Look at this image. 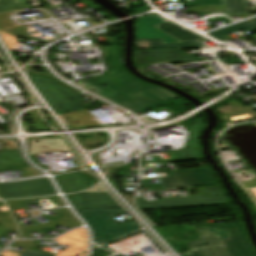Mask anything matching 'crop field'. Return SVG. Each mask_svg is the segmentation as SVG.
Here are the masks:
<instances>
[{
    "label": "crop field",
    "mask_w": 256,
    "mask_h": 256,
    "mask_svg": "<svg viewBox=\"0 0 256 256\" xmlns=\"http://www.w3.org/2000/svg\"><path fill=\"white\" fill-rule=\"evenodd\" d=\"M193 226L202 240L187 243L192 252L183 256H256L243 223Z\"/></svg>",
    "instance_id": "1"
},
{
    "label": "crop field",
    "mask_w": 256,
    "mask_h": 256,
    "mask_svg": "<svg viewBox=\"0 0 256 256\" xmlns=\"http://www.w3.org/2000/svg\"><path fill=\"white\" fill-rule=\"evenodd\" d=\"M77 212L85 219L94 234V242L99 245L125 236L139 228L136 222L122 223L119 226L112 225L111 218L113 215L127 213L122 208L81 210Z\"/></svg>",
    "instance_id": "2"
},
{
    "label": "crop field",
    "mask_w": 256,
    "mask_h": 256,
    "mask_svg": "<svg viewBox=\"0 0 256 256\" xmlns=\"http://www.w3.org/2000/svg\"><path fill=\"white\" fill-rule=\"evenodd\" d=\"M29 76L55 111L66 113L86 109L79 103L82 100L79 91L59 84L58 81L36 76L31 72Z\"/></svg>",
    "instance_id": "3"
},
{
    "label": "crop field",
    "mask_w": 256,
    "mask_h": 256,
    "mask_svg": "<svg viewBox=\"0 0 256 256\" xmlns=\"http://www.w3.org/2000/svg\"><path fill=\"white\" fill-rule=\"evenodd\" d=\"M77 83L107 99L149 85L125 70L104 74Z\"/></svg>",
    "instance_id": "4"
},
{
    "label": "crop field",
    "mask_w": 256,
    "mask_h": 256,
    "mask_svg": "<svg viewBox=\"0 0 256 256\" xmlns=\"http://www.w3.org/2000/svg\"><path fill=\"white\" fill-rule=\"evenodd\" d=\"M177 98H179L177 95L166 89L152 85L145 89L130 92L111 100L139 114L147 109H153L165 102Z\"/></svg>",
    "instance_id": "5"
},
{
    "label": "crop field",
    "mask_w": 256,
    "mask_h": 256,
    "mask_svg": "<svg viewBox=\"0 0 256 256\" xmlns=\"http://www.w3.org/2000/svg\"><path fill=\"white\" fill-rule=\"evenodd\" d=\"M203 189L205 196L163 199L152 202H146L143 197H140L136 199V202L139 209L171 208L228 203L224 193L219 186L205 187Z\"/></svg>",
    "instance_id": "6"
},
{
    "label": "crop field",
    "mask_w": 256,
    "mask_h": 256,
    "mask_svg": "<svg viewBox=\"0 0 256 256\" xmlns=\"http://www.w3.org/2000/svg\"><path fill=\"white\" fill-rule=\"evenodd\" d=\"M0 193L4 199L56 194L47 179L0 184Z\"/></svg>",
    "instance_id": "7"
},
{
    "label": "crop field",
    "mask_w": 256,
    "mask_h": 256,
    "mask_svg": "<svg viewBox=\"0 0 256 256\" xmlns=\"http://www.w3.org/2000/svg\"><path fill=\"white\" fill-rule=\"evenodd\" d=\"M171 175L172 177L160 178L165 189L217 184L214 175L209 168L173 172Z\"/></svg>",
    "instance_id": "8"
},
{
    "label": "crop field",
    "mask_w": 256,
    "mask_h": 256,
    "mask_svg": "<svg viewBox=\"0 0 256 256\" xmlns=\"http://www.w3.org/2000/svg\"><path fill=\"white\" fill-rule=\"evenodd\" d=\"M76 210L120 207L108 192L68 195Z\"/></svg>",
    "instance_id": "9"
},
{
    "label": "crop field",
    "mask_w": 256,
    "mask_h": 256,
    "mask_svg": "<svg viewBox=\"0 0 256 256\" xmlns=\"http://www.w3.org/2000/svg\"><path fill=\"white\" fill-rule=\"evenodd\" d=\"M162 60H168L170 62L199 61L192 55L182 56L179 50H135L134 53L136 65Z\"/></svg>",
    "instance_id": "10"
},
{
    "label": "crop field",
    "mask_w": 256,
    "mask_h": 256,
    "mask_svg": "<svg viewBox=\"0 0 256 256\" xmlns=\"http://www.w3.org/2000/svg\"><path fill=\"white\" fill-rule=\"evenodd\" d=\"M157 15L152 14L136 19L137 38H163L164 44L180 42L153 28L165 22V19Z\"/></svg>",
    "instance_id": "11"
},
{
    "label": "crop field",
    "mask_w": 256,
    "mask_h": 256,
    "mask_svg": "<svg viewBox=\"0 0 256 256\" xmlns=\"http://www.w3.org/2000/svg\"><path fill=\"white\" fill-rule=\"evenodd\" d=\"M191 132V137L188 139L187 145L175 151L180 161L203 159L198 146V133L202 128V120L197 119L193 122L184 124Z\"/></svg>",
    "instance_id": "12"
},
{
    "label": "crop field",
    "mask_w": 256,
    "mask_h": 256,
    "mask_svg": "<svg viewBox=\"0 0 256 256\" xmlns=\"http://www.w3.org/2000/svg\"><path fill=\"white\" fill-rule=\"evenodd\" d=\"M60 244H67L70 248L62 251L55 256H73L86 251L87 248V234L83 228L69 232L56 239Z\"/></svg>",
    "instance_id": "13"
},
{
    "label": "crop field",
    "mask_w": 256,
    "mask_h": 256,
    "mask_svg": "<svg viewBox=\"0 0 256 256\" xmlns=\"http://www.w3.org/2000/svg\"><path fill=\"white\" fill-rule=\"evenodd\" d=\"M64 193L84 190L97 183V180L82 173L55 177Z\"/></svg>",
    "instance_id": "14"
},
{
    "label": "crop field",
    "mask_w": 256,
    "mask_h": 256,
    "mask_svg": "<svg viewBox=\"0 0 256 256\" xmlns=\"http://www.w3.org/2000/svg\"><path fill=\"white\" fill-rule=\"evenodd\" d=\"M206 47L198 41L164 45L162 39H136V48H158V49H173V48H203Z\"/></svg>",
    "instance_id": "15"
},
{
    "label": "crop field",
    "mask_w": 256,
    "mask_h": 256,
    "mask_svg": "<svg viewBox=\"0 0 256 256\" xmlns=\"http://www.w3.org/2000/svg\"><path fill=\"white\" fill-rule=\"evenodd\" d=\"M155 28L182 41V42L204 39L201 36L191 32L181 26H178L170 21H168L164 24H161Z\"/></svg>",
    "instance_id": "16"
},
{
    "label": "crop field",
    "mask_w": 256,
    "mask_h": 256,
    "mask_svg": "<svg viewBox=\"0 0 256 256\" xmlns=\"http://www.w3.org/2000/svg\"><path fill=\"white\" fill-rule=\"evenodd\" d=\"M41 142L35 143V141H30L31 146L29 149V154H39L46 152H60V151H69L67 147L64 145V139H49V140H40Z\"/></svg>",
    "instance_id": "17"
},
{
    "label": "crop field",
    "mask_w": 256,
    "mask_h": 256,
    "mask_svg": "<svg viewBox=\"0 0 256 256\" xmlns=\"http://www.w3.org/2000/svg\"><path fill=\"white\" fill-rule=\"evenodd\" d=\"M29 166V165H28ZM17 149H7L0 152V168L28 167Z\"/></svg>",
    "instance_id": "18"
},
{
    "label": "crop field",
    "mask_w": 256,
    "mask_h": 256,
    "mask_svg": "<svg viewBox=\"0 0 256 256\" xmlns=\"http://www.w3.org/2000/svg\"><path fill=\"white\" fill-rule=\"evenodd\" d=\"M63 217L51 221L49 223L43 224L38 227H23L25 231H31V230H40V229H45L47 227H50L56 223L68 226V227H75L81 225V223L70 213V211L67 208L60 209Z\"/></svg>",
    "instance_id": "19"
},
{
    "label": "crop field",
    "mask_w": 256,
    "mask_h": 256,
    "mask_svg": "<svg viewBox=\"0 0 256 256\" xmlns=\"http://www.w3.org/2000/svg\"><path fill=\"white\" fill-rule=\"evenodd\" d=\"M241 29H243L245 31H249L251 33L256 31V21L239 23L234 26L220 29L218 31L210 33L209 35L219 39L220 41H223V40H227V38H225L224 36L231 34V32H233V31H237V30H241Z\"/></svg>",
    "instance_id": "20"
},
{
    "label": "crop field",
    "mask_w": 256,
    "mask_h": 256,
    "mask_svg": "<svg viewBox=\"0 0 256 256\" xmlns=\"http://www.w3.org/2000/svg\"><path fill=\"white\" fill-rule=\"evenodd\" d=\"M227 15L247 13L246 0H224Z\"/></svg>",
    "instance_id": "21"
},
{
    "label": "crop field",
    "mask_w": 256,
    "mask_h": 256,
    "mask_svg": "<svg viewBox=\"0 0 256 256\" xmlns=\"http://www.w3.org/2000/svg\"><path fill=\"white\" fill-rule=\"evenodd\" d=\"M28 7L23 0H0V13Z\"/></svg>",
    "instance_id": "22"
},
{
    "label": "crop field",
    "mask_w": 256,
    "mask_h": 256,
    "mask_svg": "<svg viewBox=\"0 0 256 256\" xmlns=\"http://www.w3.org/2000/svg\"><path fill=\"white\" fill-rule=\"evenodd\" d=\"M117 43H110L112 45V48L110 50V55L108 57V64L110 66L111 72L117 71L118 68L122 67L120 61L118 60L119 56V47L114 46Z\"/></svg>",
    "instance_id": "23"
},
{
    "label": "crop field",
    "mask_w": 256,
    "mask_h": 256,
    "mask_svg": "<svg viewBox=\"0 0 256 256\" xmlns=\"http://www.w3.org/2000/svg\"><path fill=\"white\" fill-rule=\"evenodd\" d=\"M197 4L202 6L224 5L223 0H199L196 2L188 3L189 6H195Z\"/></svg>",
    "instance_id": "24"
},
{
    "label": "crop field",
    "mask_w": 256,
    "mask_h": 256,
    "mask_svg": "<svg viewBox=\"0 0 256 256\" xmlns=\"http://www.w3.org/2000/svg\"><path fill=\"white\" fill-rule=\"evenodd\" d=\"M14 243H16V244H18L20 246H23V247H25L27 249H30V248L35 246L32 240L15 241Z\"/></svg>",
    "instance_id": "25"
},
{
    "label": "crop field",
    "mask_w": 256,
    "mask_h": 256,
    "mask_svg": "<svg viewBox=\"0 0 256 256\" xmlns=\"http://www.w3.org/2000/svg\"><path fill=\"white\" fill-rule=\"evenodd\" d=\"M21 256H49V255H45V254H42V253H38V252L28 250L27 252H25Z\"/></svg>",
    "instance_id": "26"
},
{
    "label": "crop field",
    "mask_w": 256,
    "mask_h": 256,
    "mask_svg": "<svg viewBox=\"0 0 256 256\" xmlns=\"http://www.w3.org/2000/svg\"><path fill=\"white\" fill-rule=\"evenodd\" d=\"M0 255H2V256H20V255L14 253V252H11V251H8V250L4 251Z\"/></svg>",
    "instance_id": "27"
},
{
    "label": "crop field",
    "mask_w": 256,
    "mask_h": 256,
    "mask_svg": "<svg viewBox=\"0 0 256 256\" xmlns=\"http://www.w3.org/2000/svg\"><path fill=\"white\" fill-rule=\"evenodd\" d=\"M50 198H55L59 204V206H65L63 204V202L61 201V199L59 198V196H55V197H47V198H40L39 200H42V199H50Z\"/></svg>",
    "instance_id": "28"
}]
</instances>
